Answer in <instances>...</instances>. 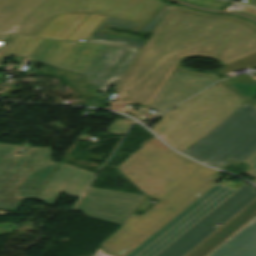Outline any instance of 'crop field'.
Returning <instances> with one entry per match:
<instances>
[{
    "label": "crop field",
    "instance_id": "crop-field-6",
    "mask_svg": "<svg viewBox=\"0 0 256 256\" xmlns=\"http://www.w3.org/2000/svg\"><path fill=\"white\" fill-rule=\"evenodd\" d=\"M256 150V108L244 103L185 154L221 169L242 162Z\"/></svg>",
    "mask_w": 256,
    "mask_h": 256
},
{
    "label": "crop field",
    "instance_id": "crop-field-26",
    "mask_svg": "<svg viewBox=\"0 0 256 256\" xmlns=\"http://www.w3.org/2000/svg\"><path fill=\"white\" fill-rule=\"evenodd\" d=\"M229 178H230V176H227V177L224 178L221 182H219V184H221L223 181H225L226 179H229ZM230 179H231V178H230ZM244 184H245V183H244L243 181H240V182L232 181V182H230V183L227 184V185H224V184H222V185L237 190L238 188H240V187H241L242 185H244Z\"/></svg>",
    "mask_w": 256,
    "mask_h": 256
},
{
    "label": "crop field",
    "instance_id": "crop-field-29",
    "mask_svg": "<svg viewBox=\"0 0 256 256\" xmlns=\"http://www.w3.org/2000/svg\"><path fill=\"white\" fill-rule=\"evenodd\" d=\"M232 1H234V0H232Z\"/></svg>",
    "mask_w": 256,
    "mask_h": 256
},
{
    "label": "crop field",
    "instance_id": "crop-field-12",
    "mask_svg": "<svg viewBox=\"0 0 256 256\" xmlns=\"http://www.w3.org/2000/svg\"><path fill=\"white\" fill-rule=\"evenodd\" d=\"M120 170L145 194L159 200L153 207L159 209L168 202L160 198L165 192L162 186L166 182L144 163L142 147L120 165Z\"/></svg>",
    "mask_w": 256,
    "mask_h": 256
},
{
    "label": "crop field",
    "instance_id": "crop-field-25",
    "mask_svg": "<svg viewBox=\"0 0 256 256\" xmlns=\"http://www.w3.org/2000/svg\"><path fill=\"white\" fill-rule=\"evenodd\" d=\"M176 70L180 71V72H183L185 74H189V75H194V76H199V77H210V78H213L216 81L221 79V77H219L217 74H200V73H196V72H192L190 70L184 69V68L179 67V66H177Z\"/></svg>",
    "mask_w": 256,
    "mask_h": 256
},
{
    "label": "crop field",
    "instance_id": "crop-field-14",
    "mask_svg": "<svg viewBox=\"0 0 256 256\" xmlns=\"http://www.w3.org/2000/svg\"><path fill=\"white\" fill-rule=\"evenodd\" d=\"M43 1L0 0V42H5L21 20Z\"/></svg>",
    "mask_w": 256,
    "mask_h": 256
},
{
    "label": "crop field",
    "instance_id": "crop-field-11",
    "mask_svg": "<svg viewBox=\"0 0 256 256\" xmlns=\"http://www.w3.org/2000/svg\"><path fill=\"white\" fill-rule=\"evenodd\" d=\"M215 82L209 78H199L175 71L150 107L162 112L189 98L206 86Z\"/></svg>",
    "mask_w": 256,
    "mask_h": 256
},
{
    "label": "crop field",
    "instance_id": "crop-field-21",
    "mask_svg": "<svg viewBox=\"0 0 256 256\" xmlns=\"http://www.w3.org/2000/svg\"><path fill=\"white\" fill-rule=\"evenodd\" d=\"M253 66H256V54L254 55H251L249 57H246L242 60H239L235 63H232L228 66H225L221 69L218 70V73L220 75L228 72V71H231V70H235V69H239V68H244V67H253Z\"/></svg>",
    "mask_w": 256,
    "mask_h": 256
},
{
    "label": "crop field",
    "instance_id": "crop-field-4",
    "mask_svg": "<svg viewBox=\"0 0 256 256\" xmlns=\"http://www.w3.org/2000/svg\"><path fill=\"white\" fill-rule=\"evenodd\" d=\"M161 3L159 0H45L3 43L0 65L10 54L27 58L44 36L66 39L89 12L143 23Z\"/></svg>",
    "mask_w": 256,
    "mask_h": 256
},
{
    "label": "crop field",
    "instance_id": "crop-field-1",
    "mask_svg": "<svg viewBox=\"0 0 256 256\" xmlns=\"http://www.w3.org/2000/svg\"><path fill=\"white\" fill-rule=\"evenodd\" d=\"M254 53L256 34L248 28L168 9L114 86L121 95L109 109L123 113V104L148 106L182 56H206L228 65Z\"/></svg>",
    "mask_w": 256,
    "mask_h": 256
},
{
    "label": "crop field",
    "instance_id": "crop-field-2",
    "mask_svg": "<svg viewBox=\"0 0 256 256\" xmlns=\"http://www.w3.org/2000/svg\"><path fill=\"white\" fill-rule=\"evenodd\" d=\"M139 25L91 14L69 38L85 43L46 38L29 59L79 72L107 97L145 42L143 36L112 29L132 32Z\"/></svg>",
    "mask_w": 256,
    "mask_h": 256
},
{
    "label": "crop field",
    "instance_id": "crop-field-7",
    "mask_svg": "<svg viewBox=\"0 0 256 256\" xmlns=\"http://www.w3.org/2000/svg\"><path fill=\"white\" fill-rule=\"evenodd\" d=\"M244 102H246L244 99L221 84L200 100L160 138L172 148L184 152Z\"/></svg>",
    "mask_w": 256,
    "mask_h": 256
},
{
    "label": "crop field",
    "instance_id": "crop-field-16",
    "mask_svg": "<svg viewBox=\"0 0 256 256\" xmlns=\"http://www.w3.org/2000/svg\"><path fill=\"white\" fill-rule=\"evenodd\" d=\"M58 169L37 198L47 204H54L79 168L62 163Z\"/></svg>",
    "mask_w": 256,
    "mask_h": 256
},
{
    "label": "crop field",
    "instance_id": "crop-field-19",
    "mask_svg": "<svg viewBox=\"0 0 256 256\" xmlns=\"http://www.w3.org/2000/svg\"><path fill=\"white\" fill-rule=\"evenodd\" d=\"M170 9L176 10L181 13L189 14V15H194V16H200V17H206V18H212V19L233 20V21H236V22H239V23L245 25L246 27H248L249 29H251L252 31H254L256 33V24H254L244 18L235 17V16L205 14V13L192 11L188 8L181 7V6H175V5H172Z\"/></svg>",
    "mask_w": 256,
    "mask_h": 256
},
{
    "label": "crop field",
    "instance_id": "crop-field-23",
    "mask_svg": "<svg viewBox=\"0 0 256 256\" xmlns=\"http://www.w3.org/2000/svg\"><path fill=\"white\" fill-rule=\"evenodd\" d=\"M130 125H131L130 122L116 119V121L113 123V125L108 130V132L123 135L124 132L129 128Z\"/></svg>",
    "mask_w": 256,
    "mask_h": 256
},
{
    "label": "crop field",
    "instance_id": "crop-field-27",
    "mask_svg": "<svg viewBox=\"0 0 256 256\" xmlns=\"http://www.w3.org/2000/svg\"><path fill=\"white\" fill-rule=\"evenodd\" d=\"M233 79H235V80L256 81V80L252 79L250 75H245V76H241V77H236V78H233Z\"/></svg>",
    "mask_w": 256,
    "mask_h": 256
},
{
    "label": "crop field",
    "instance_id": "crop-field-28",
    "mask_svg": "<svg viewBox=\"0 0 256 256\" xmlns=\"http://www.w3.org/2000/svg\"><path fill=\"white\" fill-rule=\"evenodd\" d=\"M94 256H111V255L105 254L101 251V249H98L97 253Z\"/></svg>",
    "mask_w": 256,
    "mask_h": 256
},
{
    "label": "crop field",
    "instance_id": "crop-field-13",
    "mask_svg": "<svg viewBox=\"0 0 256 256\" xmlns=\"http://www.w3.org/2000/svg\"><path fill=\"white\" fill-rule=\"evenodd\" d=\"M256 216V199L245 207L241 212L216 230L207 239L195 247L186 256H205L216 248L219 244L230 237L240 227Z\"/></svg>",
    "mask_w": 256,
    "mask_h": 256
},
{
    "label": "crop field",
    "instance_id": "crop-field-17",
    "mask_svg": "<svg viewBox=\"0 0 256 256\" xmlns=\"http://www.w3.org/2000/svg\"><path fill=\"white\" fill-rule=\"evenodd\" d=\"M222 82L224 81H221L215 84L214 86L210 87L209 89L202 92L201 94L178 105L174 110H169L166 113L159 116L163 119L152 128V131L160 136L170 126H172L179 118H181L190 108H192L200 99H202L208 92H210L213 88H215L217 85L221 84Z\"/></svg>",
    "mask_w": 256,
    "mask_h": 256
},
{
    "label": "crop field",
    "instance_id": "crop-field-18",
    "mask_svg": "<svg viewBox=\"0 0 256 256\" xmlns=\"http://www.w3.org/2000/svg\"><path fill=\"white\" fill-rule=\"evenodd\" d=\"M94 176L95 173L79 169L72 181L64 190V193L80 198L82 192Z\"/></svg>",
    "mask_w": 256,
    "mask_h": 256
},
{
    "label": "crop field",
    "instance_id": "crop-field-3",
    "mask_svg": "<svg viewBox=\"0 0 256 256\" xmlns=\"http://www.w3.org/2000/svg\"><path fill=\"white\" fill-rule=\"evenodd\" d=\"M142 146L145 163L167 182L161 197L170 201L159 210L151 207L142 216L132 214L119 231L101 244L112 255L125 256L223 177L220 172L171 151L155 137Z\"/></svg>",
    "mask_w": 256,
    "mask_h": 256
},
{
    "label": "crop field",
    "instance_id": "crop-field-5",
    "mask_svg": "<svg viewBox=\"0 0 256 256\" xmlns=\"http://www.w3.org/2000/svg\"><path fill=\"white\" fill-rule=\"evenodd\" d=\"M17 145L0 144V210L16 211L25 199H35L58 163L50 148L30 147L16 154Z\"/></svg>",
    "mask_w": 256,
    "mask_h": 256
},
{
    "label": "crop field",
    "instance_id": "crop-field-9",
    "mask_svg": "<svg viewBox=\"0 0 256 256\" xmlns=\"http://www.w3.org/2000/svg\"><path fill=\"white\" fill-rule=\"evenodd\" d=\"M256 198V189L245 184L155 256H184Z\"/></svg>",
    "mask_w": 256,
    "mask_h": 256
},
{
    "label": "crop field",
    "instance_id": "crop-field-8",
    "mask_svg": "<svg viewBox=\"0 0 256 256\" xmlns=\"http://www.w3.org/2000/svg\"><path fill=\"white\" fill-rule=\"evenodd\" d=\"M235 190L216 184L126 256H154Z\"/></svg>",
    "mask_w": 256,
    "mask_h": 256
},
{
    "label": "crop field",
    "instance_id": "crop-field-24",
    "mask_svg": "<svg viewBox=\"0 0 256 256\" xmlns=\"http://www.w3.org/2000/svg\"><path fill=\"white\" fill-rule=\"evenodd\" d=\"M243 163L250 165L244 173L256 178V151L243 161ZM252 182L256 183V179Z\"/></svg>",
    "mask_w": 256,
    "mask_h": 256
},
{
    "label": "crop field",
    "instance_id": "crop-field-20",
    "mask_svg": "<svg viewBox=\"0 0 256 256\" xmlns=\"http://www.w3.org/2000/svg\"><path fill=\"white\" fill-rule=\"evenodd\" d=\"M222 84L227 86L229 89H231L247 101L256 94V85L230 81H226Z\"/></svg>",
    "mask_w": 256,
    "mask_h": 256
},
{
    "label": "crop field",
    "instance_id": "crop-field-15",
    "mask_svg": "<svg viewBox=\"0 0 256 256\" xmlns=\"http://www.w3.org/2000/svg\"><path fill=\"white\" fill-rule=\"evenodd\" d=\"M210 256H256V219Z\"/></svg>",
    "mask_w": 256,
    "mask_h": 256
},
{
    "label": "crop field",
    "instance_id": "crop-field-22",
    "mask_svg": "<svg viewBox=\"0 0 256 256\" xmlns=\"http://www.w3.org/2000/svg\"><path fill=\"white\" fill-rule=\"evenodd\" d=\"M171 6V4L165 3L164 6L154 14L146 23H144L137 32L149 33L160 21L166 10Z\"/></svg>",
    "mask_w": 256,
    "mask_h": 256
},
{
    "label": "crop field",
    "instance_id": "crop-field-10",
    "mask_svg": "<svg viewBox=\"0 0 256 256\" xmlns=\"http://www.w3.org/2000/svg\"><path fill=\"white\" fill-rule=\"evenodd\" d=\"M146 197L89 187L75 209L121 225Z\"/></svg>",
    "mask_w": 256,
    "mask_h": 256
}]
</instances>
